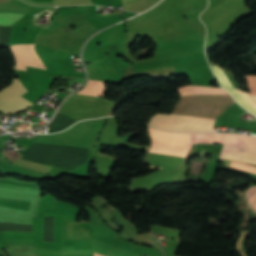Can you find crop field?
Instances as JSON below:
<instances>
[{
  "mask_svg": "<svg viewBox=\"0 0 256 256\" xmlns=\"http://www.w3.org/2000/svg\"><path fill=\"white\" fill-rule=\"evenodd\" d=\"M251 93H256V76L245 77Z\"/></svg>",
  "mask_w": 256,
  "mask_h": 256,
  "instance_id": "9",
  "label": "crop field"
},
{
  "mask_svg": "<svg viewBox=\"0 0 256 256\" xmlns=\"http://www.w3.org/2000/svg\"><path fill=\"white\" fill-rule=\"evenodd\" d=\"M25 92L19 79L13 80L11 86L0 91V112L16 114L29 108L31 102L21 97Z\"/></svg>",
  "mask_w": 256,
  "mask_h": 256,
  "instance_id": "3",
  "label": "crop field"
},
{
  "mask_svg": "<svg viewBox=\"0 0 256 256\" xmlns=\"http://www.w3.org/2000/svg\"><path fill=\"white\" fill-rule=\"evenodd\" d=\"M103 90H104V83L103 82L90 80L87 87L84 88L79 93L80 94L100 96V94L103 92Z\"/></svg>",
  "mask_w": 256,
  "mask_h": 256,
  "instance_id": "6",
  "label": "crop field"
},
{
  "mask_svg": "<svg viewBox=\"0 0 256 256\" xmlns=\"http://www.w3.org/2000/svg\"><path fill=\"white\" fill-rule=\"evenodd\" d=\"M11 48L17 62V69L25 70V65L45 69L35 53L34 44L12 45Z\"/></svg>",
  "mask_w": 256,
  "mask_h": 256,
  "instance_id": "4",
  "label": "crop field"
},
{
  "mask_svg": "<svg viewBox=\"0 0 256 256\" xmlns=\"http://www.w3.org/2000/svg\"><path fill=\"white\" fill-rule=\"evenodd\" d=\"M248 197L249 200L254 208V210L256 211V186H253L248 192Z\"/></svg>",
  "mask_w": 256,
  "mask_h": 256,
  "instance_id": "8",
  "label": "crop field"
},
{
  "mask_svg": "<svg viewBox=\"0 0 256 256\" xmlns=\"http://www.w3.org/2000/svg\"><path fill=\"white\" fill-rule=\"evenodd\" d=\"M94 256H102V255H98V254H95V253H94Z\"/></svg>",
  "mask_w": 256,
  "mask_h": 256,
  "instance_id": "10",
  "label": "crop field"
},
{
  "mask_svg": "<svg viewBox=\"0 0 256 256\" xmlns=\"http://www.w3.org/2000/svg\"><path fill=\"white\" fill-rule=\"evenodd\" d=\"M22 16L15 13H0V25L10 26Z\"/></svg>",
  "mask_w": 256,
  "mask_h": 256,
  "instance_id": "7",
  "label": "crop field"
},
{
  "mask_svg": "<svg viewBox=\"0 0 256 256\" xmlns=\"http://www.w3.org/2000/svg\"><path fill=\"white\" fill-rule=\"evenodd\" d=\"M215 119L176 114H157L151 117L150 126L171 130L214 132Z\"/></svg>",
  "mask_w": 256,
  "mask_h": 256,
  "instance_id": "2",
  "label": "crop field"
},
{
  "mask_svg": "<svg viewBox=\"0 0 256 256\" xmlns=\"http://www.w3.org/2000/svg\"><path fill=\"white\" fill-rule=\"evenodd\" d=\"M150 129L149 152L185 157L193 143H227L256 148V138L227 134L170 133ZM224 144L219 158L256 164V149ZM218 158V159H219Z\"/></svg>",
  "mask_w": 256,
  "mask_h": 256,
  "instance_id": "1",
  "label": "crop field"
},
{
  "mask_svg": "<svg viewBox=\"0 0 256 256\" xmlns=\"http://www.w3.org/2000/svg\"><path fill=\"white\" fill-rule=\"evenodd\" d=\"M181 96L189 94H227L222 88L186 86L178 89Z\"/></svg>",
  "mask_w": 256,
  "mask_h": 256,
  "instance_id": "5",
  "label": "crop field"
}]
</instances>
